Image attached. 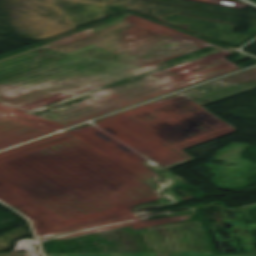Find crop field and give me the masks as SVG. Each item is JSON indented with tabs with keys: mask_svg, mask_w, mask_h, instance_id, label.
Instances as JSON below:
<instances>
[{
	"mask_svg": "<svg viewBox=\"0 0 256 256\" xmlns=\"http://www.w3.org/2000/svg\"><path fill=\"white\" fill-rule=\"evenodd\" d=\"M63 256H156L155 253L62 254Z\"/></svg>",
	"mask_w": 256,
	"mask_h": 256,
	"instance_id": "1",
	"label": "crop field"
},
{
	"mask_svg": "<svg viewBox=\"0 0 256 256\" xmlns=\"http://www.w3.org/2000/svg\"><path fill=\"white\" fill-rule=\"evenodd\" d=\"M170 256H221L212 255V253H191V254H169Z\"/></svg>",
	"mask_w": 256,
	"mask_h": 256,
	"instance_id": "2",
	"label": "crop field"
},
{
	"mask_svg": "<svg viewBox=\"0 0 256 256\" xmlns=\"http://www.w3.org/2000/svg\"><path fill=\"white\" fill-rule=\"evenodd\" d=\"M222 256H248V255H222Z\"/></svg>",
	"mask_w": 256,
	"mask_h": 256,
	"instance_id": "3",
	"label": "crop field"
},
{
	"mask_svg": "<svg viewBox=\"0 0 256 256\" xmlns=\"http://www.w3.org/2000/svg\"><path fill=\"white\" fill-rule=\"evenodd\" d=\"M47 256H62L61 254L47 255Z\"/></svg>",
	"mask_w": 256,
	"mask_h": 256,
	"instance_id": "4",
	"label": "crop field"
}]
</instances>
